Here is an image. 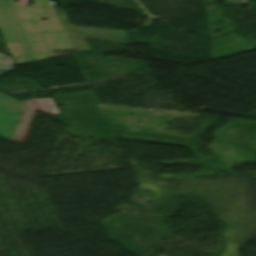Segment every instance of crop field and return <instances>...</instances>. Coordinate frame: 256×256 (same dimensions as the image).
Segmentation results:
<instances>
[{
    "mask_svg": "<svg viewBox=\"0 0 256 256\" xmlns=\"http://www.w3.org/2000/svg\"><path fill=\"white\" fill-rule=\"evenodd\" d=\"M13 62L10 57L0 54V74L14 69Z\"/></svg>",
    "mask_w": 256,
    "mask_h": 256,
    "instance_id": "crop-field-5",
    "label": "crop field"
},
{
    "mask_svg": "<svg viewBox=\"0 0 256 256\" xmlns=\"http://www.w3.org/2000/svg\"><path fill=\"white\" fill-rule=\"evenodd\" d=\"M75 52H91L85 39L127 44L125 31L69 26L64 11L59 15Z\"/></svg>",
    "mask_w": 256,
    "mask_h": 256,
    "instance_id": "crop-field-3",
    "label": "crop field"
},
{
    "mask_svg": "<svg viewBox=\"0 0 256 256\" xmlns=\"http://www.w3.org/2000/svg\"><path fill=\"white\" fill-rule=\"evenodd\" d=\"M35 112L36 109L0 93V137L23 144Z\"/></svg>",
    "mask_w": 256,
    "mask_h": 256,
    "instance_id": "crop-field-2",
    "label": "crop field"
},
{
    "mask_svg": "<svg viewBox=\"0 0 256 256\" xmlns=\"http://www.w3.org/2000/svg\"><path fill=\"white\" fill-rule=\"evenodd\" d=\"M33 2V8L17 9L13 0H0V32L16 65L73 50L54 7L47 0Z\"/></svg>",
    "mask_w": 256,
    "mask_h": 256,
    "instance_id": "crop-field-1",
    "label": "crop field"
},
{
    "mask_svg": "<svg viewBox=\"0 0 256 256\" xmlns=\"http://www.w3.org/2000/svg\"><path fill=\"white\" fill-rule=\"evenodd\" d=\"M43 113L57 114L51 98L29 99L22 101Z\"/></svg>",
    "mask_w": 256,
    "mask_h": 256,
    "instance_id": "crop-field-4",
    "label": "crop field"
}]
</instances>
